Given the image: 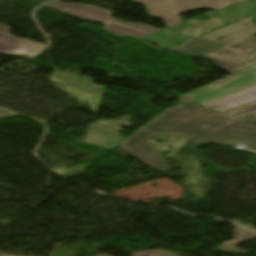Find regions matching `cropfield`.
<instances>
[{"label": "crop field", "mask_w": 256, "mask_h": 256, "mask_svg": "<svg viewBox=\"0 0 256 256\" xmlns=\"http://www.w3.org/2000/svg\"><path fill=\"white\" fill-rule=\"evenodd\" d=\"M100 256H109V255H107V254H102V255H100Z\"/></svg>", "instance_id": "22f410ed"}, {"label": "crop field", "mask_w": 256, "mask_h": 256, "mask_svg": "<svg viewBox=\"0 0 256 256\" xmlns=\"http://www.w3.org/2000/svg\"><path fill=\"white\" fill-rule=\"evenodd\" d=\"M12 28L0 24V53L35 55L45 44L8 35Z\"/></svg>", "instance_id": "e52e79f7"}, {"label": "crop field", "mask_w": 256, "mask_h": 256, "mask_svg": "<svg viewBox=\"0 0 256 256\" xmlns=\"http://www.w3.org/2000/svg\"><path fill=\"white\" fill-rule=\"evenodd\" d=\"M180 99L184 102L197 104V105H200V106L206 104V103H203V102H200V101H197V100H193V99H190V98H187V97H184V96H181Z\"/></svg>", "instance_id": "3316defc"}, {"label": "crop field", "mask_w": 256, "mask_h": 256, "mask_svg": "<svg viewBox=\"0 0 256 256\" xmlns=\"http://www.w3.org/2000/svg\"><path fill=\"white\" fill-rule=\"evenodd\" d=\"M83 1H86V0H83Z\"/></svg>", "instance_id": "cbeb9de0"}, {"label": "crop field", "mask_w": 256, "mask_h": 256, "mask_svg": "<svg viewBox=\"0 0 256 256\" xmlns=\"http://www.w3.org/2000/svg\"><path fill=\"white\" fill-rule=\"evenodd\" d=\"M254 99H256V88L206 104L204 107L222 111Z\"/></svg>", "instance_id": "d8731c3e"}, {"label": "crop field", "mask_w": 256, "mask_h": 256, "mask_svg": "<svg viewBox=\"0 0 256 256\" xmlns=\"http://www.w3.org/2000/svg\"><path fill=\"white\" fill-rule=\"evenodd\" d=\"M244 117H248V118H252V119H256V111L255 112H252L248 115H243Z\"/></svg>", "instance_id": "28ad6ade"}, {"label": "crop field", "mask_w": 256, "mask_h": 256, "mask_svg": "<svg viewBox=\"0 0 256 256\" xmlns=\"http://www.w3.org/2000/svg\"><path fill=\"white\" fill-rule=\"evenodd\" d=\"M146 6L151 17L165 19L168 27L181 23L179 14L202 8L220 10L243 0H133Z\"/></svg>", "instance_id": "34b2d1b8"}, {"label": "crop field", "mask_w": 256, "mask_h": 256, "mask_svg": "<svg viewBox=\"0 0 256 256\" xmlns=\"http://www.w3.org/2000/svg\"><path fill=\"white\" fill-rule=\"evenodd\" d=\"M254 69H256V66L251 67V68H248V69H246V70L251 71V70H254Z\"/></svg>", "instance_id": "d1516ede"}, {"label": "crop field", "mask_w": 256, "mask_h": 256, "mask_svg": "<svg viewBox=\"0 0 256 256\" xmlns=\"http://www.w3.org/2000/svg\"><path fill=\"white\" fill-rule=\"evenodd\" d=\"M158 133H181L228 146L240 144L256 151L255 121L187 103L163 113L120 146L157 169L164 160L147 140Z\"/></svg>", "instance_id": "8a807250"}, {"label": "crop field", "mask_w": 256, "mask_h": 256, "mask_svg": "<svg viewBox=\"0 0 256 256\" xmlns=\"http://www.w3.org/2000/svg\"><path fill=\"white\" fill-rule=\"evenodd\" d=\"M254 87H256V70L240 71L183 95L209 103Z\"/></svg>", "instance_id": "dd49c442"}, {"label": "crop field", "mask_w": 256, "mask_h": 256, "mask_svg": "<svg viewBox=\"0 0 256 256\" xmlns=\"http://www.w3.org/2000/svg\"><path fill=\"white\" fill-rule=\"evenodd\" d=\"M255 110H256V100L246 103V104H243V105H240V106H237V107H234V108L226 110L224 112L242 116L243 114H248Z\"/></svg>", "instance_id": "5a996713"}, {"label": "crop field", "mask_w": 256, "mask_h": 256, "mask_svg": "<svg viewBox=\"0 0 256 256\" xmlns=\"http://www.w3.org/2000/svg\"><path fill=\"white\" fill-rule=\"evenodd\" d=\"M45 6L64 11L73 17L88 21L102 22L106 25V30L118 35H135L143 38L158 32L157 29L147 25L123 24L121 22L114 21L111 19V11L94 6H84L59 2H53Z\"/></svg>", "instance_id": "ac0d7876"}, {"label": "crop field", "mask_w": 256, "mask_h": 256, "mask_svg": "<svg viewBox=\"0 0 256 256\" xmlns=\"http://www.w3.org/2000/svg\"><path fill=\"white\" fill-rule=\"evenodd\" d=\"M251 18L254 17H250L227 28L215 31L209 34L207 37L191 39L183 43L182 46L170 47L168 50L197 56L238 41L253 33H256V25L250 22ZM229 33H233V35L230 36L228 35Z\"/></svg>", "instance_id": "412701ff"}, {"label": "crop field", "mask_w": 256, "mask_h": 256, "mask_svg": "<svg viewBox=\"0 0 256 256\" xmlns=\"http://www.w3.org/2000/svg\"><path fill=\"white\" fill-rule=\"evenodd\" d=\"M256 36L203 54L200 57L232 74L256 63Z\"/></svg>", "instance_id": "f4fd0767"}]
</instances>
